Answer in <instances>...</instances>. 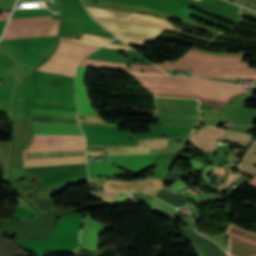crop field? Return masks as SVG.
Returning <instances> with one entry per match:
<instances>
[{"instance_id": "obj_1", "label": "crop field", "mask_w": 256, "mask_h": 256, "mask_svg": "<svg viewBox=\"0 0 256 256\" xmlns=\"http://www.w3.org/2000/svg\"><path fill=\"white\" fill-rule=\"evenodd\" d=\"M130 75L156 96L198 98L205 106L224 107L233 97L249 92L238 85L199 78Z\"/></svg>"}, {"instance_id": "obj_2", "label": "crop field", "mask_w": 256, "mask_h": 256, "mask_svg": "<svg viewBox=\"0 0 256 256\" xmlns=\"http://www.w3.org/2000/svg\"><path fill=\"white\" fill-rule=\"evenodd\" d=\"M87 8L94 19L127 44L143 46L144 42H156L163 30L178 32L167 20L153 16Z\"/></svg>"}, {"instance_id": "obj_3", "label": "crop field", "mask_w": 256, "mask_h": 256, "mask_svg": "<svg viewBox=\"0 0 256 256\" xmlns=\"http://www.w3.org/2000/svg\"><path fill=\"white\" fill-rule=\"evenodd\" d=\"M80 126L86 136L87 144L104 145H138V139L161 138L159 136L160 133L168 135L170 138H180L191 130L188 128L153 124L149 126L153 133L132 134L131 131H118L117 127ZM131 136L133 140H126Z\"/></svg>"}, {"instance_id": "obj_4", "label": "crop field", "mask_w": 256, "mask_h": 256, "mask_svg": "<svg viewBox=\"0 0 256 256\" xmlns=\"http://www.w3.org/2000/svg\"><path fill=\"white\" fill-rule=\"evenodd\" d=\"M82 216V214L76 213L61 218L52 234L42 240L27 241L21 238L17 241L37 256L51 252L75 250L78 245Z\"/></svg>"}, {"instance_id": "obj_5", "label": "crop field", "mask_w": 256, "mask_h": 256, "mask_svg": "<svg viewBox=\"0 0 256 256\" xmlns=\"http://www.w3.org/2000/svg\"><path fill=\"white\" fill-rule=\"evenodd\" d=\"M95 49L60 42L57 52L38 70L74 77L77 64Z\"/></svg>"}, {"instance_id": "obj_6", "label": "crop field", "mask_w": 256, "mask_h": 256, "mask_svg": "<svg viewBox=\"0 0 256 256\" xmlns=\"http://www.w3.org/2000/svg\"><path fill=\"white\" fill-rule=\"evenodd\" d=\"M160 68L167 69H193V76L208 78H226V79H253L256 80V71L250 68H209V67H191V66H173L158 65Z\"/></svg>"}, {"instance_id": "obj_7", "label": "crop field", "mask_w": 256, "mask_h": 256, "mask_svg": "<svg viewBox=\"0 0 256 256\" xmlns=\"http://www.w3.org/2000/svg\"><path fill=\"white\" fill-rule=\"evenodd\" d=\"M242 58L243 56L212 55L191 50L178 62L166 63L208 66H247L246 62H240Z\"/></svg>"}, {"instance_id": "obj_8", "label": "crop field", "mask_w": 256, "mask_h": 256, "mask_svg": "<svg viewBox=\"0 0 256 256\" xmlns=\"http://www.w3.org/2000/svg\"><path fill=\"white\" fill-rule=\"evenodd\" d=\"M231 256H256V234L246 232L235 225L228 230Z\"/></svg>"}, {"instance_id": "obj_9", "label": "crop field", "mask_w": 256, "mask_h": 256, "mask_svg": "<svg viewBox=\"0 0 256 256\" xmlns=\"http://www.w3.org/2000/svg\"><path fill=\"white\" fill-rule=\"evenodd\" d=\"M152 142L146 140L139 142V146H102L106 147V151H87V156L91 155H103V152H108L109 155H124V154H134V153H148V148H161L166 147L167 139H151ZM87 146H97V145H87ZM128 150V151H125ZM120 151H123L122 153Z\"/></svg>"}, {"instance_id": "obj_10", "label": "crop field", "mask_w": 256, "mask_h": 256, "mask_svg": "<svg viewBox=\"0 0 256 256\" xmlns=\"http://www.w3.org/2000/svg\"><path fill=\"white\" fill-rule=\"evenodd\" d=\"M85 147L26 150L25 161L85 156Z\"/></svg>"}, {"instance_id": "obj_11", "label": "crop field", "mask_w": 256, "mask_h": 256, "mask_svg": "<svg viewBox=\"0 0 256 256\" xmlns=\"http://www.w3.org/2000/svg\"><path fill=\"white\" fill-rule=\"evenodd\" d=\"M225 132L226 129L206 125L190 140L199 148L211 152L216 147L217 141L221 140Z\"/></svg>"}, {"instance_id": "obj_12", "label": "crop field", "mask_w": 256, "mask_h": 256, "mask_svg": "<svg viewBox=\"0 0 256 256\" xmlns=\"http://www.w3.org/2000/svg\"><path fill=\"white\" fill-rule=\"evenodd\" d=\"M111 183L114 184V188H111ZM163 183L164 181L156 179H148L129 183L107 181L103 186L105 187V192H142L159 186H163ZM115 185H117V187H115Z\"/></svg>"}, {"instance_id": "obj_13", "label": "crop field", "mask_w": 256, "mask_h": 256, "mask_svg": "<svg viewBox=\"0 0 256 256\" xmlns=\"http://www.w3.org/2000/svg\"><path fill=\"white\" fill-rule=\"evenodd\" d=\"M105 228V225L92 221L91 216L87 215L85 225L80 235V246L97 250L100 245L99 233H103Z\"/></svg>"}, {"instance_id": "obj_14", "label": "crop field", "mask_w": 256, "mask_h": 256, "mask_svg": "<svg viewBox=\"0 0 256 256\" xmlns=\"http://www.w3.org/2000/svg\"><path fill=\"white\" fill-rule=\"evenodd\" d=\"M33 134L83 135L79 126L32 122Z\"/></svg>"}, {"instance_id": "obj_15", "label": "crop field", "mask_w": 256, "mask_h": 256, "mask_svg": "<svg viewBox=\"0 0 256 256\" xmlns=\"http://www.w3.org/2000/svg\"><path fill=\"white\" fill-rule=\"evenodd\" d=\"M80 65L83 66H91V67H99V68H107V69H114V70H122V71H130V72H138L141 73L145 71L146 73H156V74H165L161 72L154 66H147V65H135L131 64L133 70L125 69V64L121 63H112V62H104V61H96V60H89L86 59Z\"/></svg>"}, {"instance_id": "obj_16", "label": "crop field", "mask_w": 256, "mask_h": 256, "mask_svg": "<svg viewBox=\"0 0 256 256\" xmlns=\"http://www.w3.org/2000/svg\"><path fill=\"white\" fill-rule=\"evenodd\" d=\"M51 16L11 19L6 30L57 26Z\"/></svg>"}, {"instance_id": "obj_17", "label": "crop field", "mask_w": 256, "mask_h": 256, "mask_svg": "<svg viewBox=\"0 0 256 256\" xmlns=\"http://www.w3.org/2000/svg\"><path fill=\"white\" fill-rule=\"evenodd\" d=\"M87 69L79 68L78 77L76 82L77 87V102L79 113L78 114H88V115H97L92 109L84 88V78Z\"/></svg>"}, {"instance_id": "obj_18", "label": "crop field", "mask_w": 256, "mask_h": 256, "mask_svg": "<svg viewBox=\"0 0 256 256\" xmlns=\"http://www.w3.org/2000/svg\"><path fill=\"white\" fill-rule=\"evenodd\" d=\"M57 27L6 31L2 40L56 35Z\"/></svg>"}, {"instance_id": "obj_19", "label": "crop field", "mask_w": 256, "mask_h": 256, "mask_svg": "<svg viewBox=\"0 0 256 256\" xmlns=\"http://www.w3.org/2000/svg\"><path fill=\"white\" fill-rule=\"evenodd\" d=\"M25 170L46 175V174H58L63 172H71V171H81L86 170V164L80 165H67V166H52V167H34V168H25Z\"/></svg>"}, {"instance_id": "obj_20", "label": "crop field", "mask_w": 256, "mask_h": 256, "mask_svg": "<svg viewBox=\"0 0 256 256\" xmlns=\"http://www.w3.org/2000/svg\"><path fill=\"white\" fill-rule=\"evenodd\" d=\"M155 119H162L164 124L194 126L199 116L157 114Z\"/></svg>"}, {"instance_id": "obj_21", "label": "crop field", "mask_w": 256, "mask_h": 256, "mask_svg": "<svg viewBox=\"0 0 256 256\" xmlns=\"http://www.w3.org/2000/svg\"><path fill=\"white\" fill-rule=\"evenodd\" d=\"M255 153H256V141L254 140V142L248 149L246 155L244 154L245 156H244L243 160L236 167L235 171L243 172V170L248 165V163L250 162V160L252 159V157L254 156ZM254 165H256V154L253 157V159L251 160V162L249 163V165L244 170V173H247V172L251 171L252 169H254L255 168ZM248 174L254 176L256 174V169L252 170Z\"/></svg>"}, {"instance_id": "obj_22", "label": "crop field", "mask_w": 256, "mask_h": 256, "mask_svg": "<svg viewBox=\"0 0 256 256\" xmlns=\"http://www.w3.org/2000/svg\"><path fill=\"white\" fill-rule=\"evenodd\" d=\"M86 163L85 157L24 162L25 167Z\"/></svg>"}, {"instance_id": "obj_23", "label": "crop field", "mask_w": 256, "mask_h": 256, "mask_svg": "<svg viewBox=\"0 0 256 256\" xmlns=\"http://www.w3.org/2000/svg\"><path fill=\"white\" fill-rule=\"evenodd\" d=\"M111 40H113V39L99 37V36H93V35H87V34H84L81 40L73 39V38H65V37H61V39H60V41H63V42L84 44V45L97 46V47H101V46L105 45L106 43L110 42Z\"/></svg>"}, {"instance_id": "obj_24", "label": "crop field", "mask_w": 256, "mask_h": 256, "mask_svg": "<svg viewBox=\"0 0 256 256\" xmlns=\"http://www.w3.org/2000/svg\"><path fill=\"white\" fill-rule=\"evenodd\" d=\"M89 167L90 173L101 175H129L119 169H114L111 161L91 163Z\"/></svg>"}, {"instance_id": "obj_25", "label": "crop field", "mask_w": 256, "mask_h": 256, "mask_svg": "<svg viewBox=\"0 0 256 256\" xmlns=\"http://www.w3.org/2000/svg\"><path fill=\"white\" fill-rule=\"evenodd\" d=\"M224 140L247 147L248 144L253 140V136L229 130L227 135L225 136Z\"/></svg>"}, {"instance_id": "obj_26", "label": "crop field", "mask_w": 256, "mask_h": 256, "mask_svg": "<svg viewBox=\"0 0 256 256\" xmlns=\"http://www.w3.org/2000/svg\"><path fill=\"white\" fill-rule=\"evenodd\" d=\"M116 164L128 169V170H144L146 168H148L149 166H151L153 164L151 159H144V160H119V161H114ZM124 163H130L135 165V168H130V167H126L123 164Z\"/></svg>"}, {"instance_id": "obj_27", "label": "crop field", "mask_w": 256, "mask_h": 256, "mask_svg": "<svg viewBox=\"0 0 256 256\" xmlns=\"http://www.w3.org/2000/svg\"><path fill=\"white\" fill-rule=\"evenodd\" d=\"M31 115L75 118L77 112L29 110Z\"/></svg>"}, {"instance_id": "obj_28", "label": "crop field", "mask_w": 256, "mask_h": 256, "mask_svg": "<svg viewBox=\"0 0 256 256\" xmlns=\"http://www.w3.org/2000/svg\"><path fill=\"white\" fill-rule=\"evenodd\" d=\"M78 117H85L87 119L85 120H79V122H97V123H104L99 116H88V115H78ZM97 123H81V124H97ZM103 125H117V124H111V123H106Z\"/></svg>"}, {"instance_id": "obj_29", "label": "crop field", "mask_w": 256, "mask_h": 256, "mask_svg": "<svg viewBox=\"0 0 256 256\" xmlns=\"http://www.w3.org/2000/svg\"><path fill=\"white\" fill-rule=\"evenodd\" d=\"M158 154H147V155H130V156H106L107 159H132V158H147L157 157Z\"/></svg>"}, {"instance_id": "obj_30", "label": "crop field", "mask_w": 256, "mask_h": 256, "mask_svg": "<svg viewBox=\"0 0 256 256\" xmlns=\"http://www.w3.org/2000/svg\"><path fill=\"white\" fill-rule=\"evenodd\" d=\"M94 195L96 197H99L103 200H105V203H108L114 199H116L117 197L121 196L120 194H109V193H94Z\"/></svg>"}, {"instance_id": "obj_31", "label": "crop field", "mask_w": 256, "mask_h": 256, "mask_svg": "<svg viewBox=\"0 0 256 256\" xmlns=\"http://www.w3.org/2000/svg\"><path fill=\"white\" fill-rule=\"evenodd\" d=\"M169 189H171V190H173L175 192H178V191H180L182 189H188V187H187V185L184 182L179 180L178 182L170 185Z\"/></svg>"}, {"instance_id": "obj_32", "label": "crop field", "mask_w": 256, "mask_h": 256, "mask_svg": "<svg viewBox=\"0 0 256 256\" xmlns=\"http://www.w3.org/2000/svg\"><path fill=\"white\" fill-rule=\"evenodd\" d=\"M231 1L236 2V3H238V4H241V5H244V6H246V7H249V8H251V9H253V10L256 11L255 8L250 7V6L256 7V0H238V1H241V2H243V3H245V4H247V5H250V6H247V5H245V4H242V3L237 2V1H235V0H231Z\"/></svg>"}, {"instance_id": "obj_33", "label": "crop field", "mask_w": 256, "mask_h": 256, "mask_svg": "<svg viewBox=\"0 0 256 256\" xmlns=\"http://www.w3.org/2000/svg\"><path fill=\"white\" fill-rule=\"evenodd\" d=\"M186 163L191 164L193 166L192 170L199 171V172L201 170V167L205 164V163L197 162V161H194V160L188 161Z\"/></svg>"}, {"instance_id": "obj_34", "label": "crop field", "mask_w": 256, "mask_h": 256, "mask_svg": "<svg viewBox=\"0 0 256 256\" xmlns=\"http://www.w3.org/2000/svg\"><path fill=\"white\" fill-rule=\"evenodd\" d=\"M214 167V166H213ZM212 168V166H207L204 171H203V176H202V180L205 181V182H208L210 181L208 176L206 175L207 171L210 170ZM209 172V171H208Z\"/></svg>"}, {"instance_id": "obj_35", "label": "crop field", "mask_w": 256, "mask_h": 256, "mask_svg": "<svg viewBox=\"0 0 256 256\" xmlns=\"http://www.w3.org/2000/svg\"><path fill=\"white\" fill-rule=\"evenodd\" d=\"M104 47H110V48H120V49H126V50H131L130 48H128L127 46H122V45H114V44H108Z\"/></svg>"}, {"instance_id": "obj_36", "label": "crop field", "mask_w": 256, "mask_h": 256, "mask_svg": "<svg viewBox=\"0 0 256 256\" xmlns=\"http://www.w3.org/2000/svg\"><path fill=\"white\" fill-rule=\"evenodd\" d=\"M127 195H128V194H125V195H123V196L119 197L118 199H116V200H114V201L110 202V204H115V203H117V202H119V201L123 200Z\"/></svg>"}, {"instance_id": "obj_37", "label": "crop field", "mask_w": 256, "mask_h": 256, "mask_svg": "<svg viewBox=\"0 0 256 256\" xmlns=\"http://www.w3.org/2000/svg\"><path fill=\"white\" fill-rule=\"evenodd\" d=\"M160 189H161V188L155 189V190L146 191L145 193H149V194H151V195L154 196Z\"/></svg>"}, {"instance_id": "obj_38", "label": "crop field", "mask_w": 256, "mask_h": 256, "mask_svg": "<svg viewBox=\"0 0 256 256\" xmlns=\"http://www.w3.org/2000/svg\"><path fill=\"white\" fill-rule=\"evenodd\" d=\"M249 184L256 187V177L252 181H250Z\"/></svg>"}, {"instance_id": "obj_39", "label": "crop field", "mask_w": 256, "mask_h": 256, "mask_svg": "<svg viewBox=\"0 0 256 256\" xmlns=\"http://www.w3.org/2000/svg\"><path fill=\"white\" fill-rule=\"evenodd\" d=\"M21 1H52V0H19L18 2H21Z\"/></svg>"}, {"instance_id": "obj_40", "label": "crop field", "mask_w": 256, "mask_h": 256, "mask_svg": "<svg viewBox=\"0 0 256 256\" xmlns=\"http://www.w3.org/2000/svg\"><path fill=\"white\" fill-rule=\"evenodd\" d=\"M195 1H197V2H198V1H200V0H195Z\"/></svg>"}]
</instances>
